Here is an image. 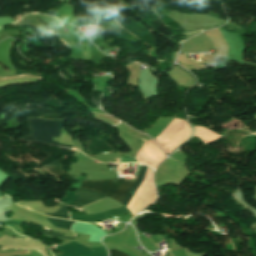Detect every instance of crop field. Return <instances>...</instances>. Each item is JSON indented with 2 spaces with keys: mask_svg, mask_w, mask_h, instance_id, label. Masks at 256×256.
I'll list each match as a JSON object with an SVG mask.
<instances>
[{
  "mask_svg": "<svg viewBox=\"0 0 256 256\" xmlns=\"http://www.w3.org/2000/svg\"><path fill=\"white\" fill-rule=\"evenodd\" d=\"M146 170H147V167L145 166L141 167L136 183L135 181H131V180L127 181L124 178L118 179V182H113L114 179L105 180V181H85L84 180L80 188L100 192L103 195L113 198L120 203L121 200L129 191V189L135 183L121 202V204L125 206L126 203L129 201V199L132 197V195L135 193V191L143 182Z\"/></svg>",
  "mask_w": 256,
  "mask_h": 256,
  "instance_id": "8a807250",
  "label": "crop field"
},
{
  "mask_svg": "<svg viewBox=\"0 0 256 256\" xmlns=\"http://www.w3.org/2000/svg\"><path fill=\"white\" fill-rule=\"evenodd\" d=\"M89 192H91V191L77 189L76 193L80 194L79 197L77 198L78 194L71 193V192L67 191V193H66L67 197L62 200V203L71 205L72 202L77 198L72 206H75L79 209V208H81V207H83V206H85L89 203H92V202H94L98 199L102 200V199L105 198V196H103L99 193H96V192H94L91 195H87ZM92 196L94 197L93 200H89L88 198L92 197ZM123 213H130V211L126 207L123 206V207L115 208V209H112L110 211L100 213V214H96V215L82 216V215L70 213V218L73 219V220H77V221L94 222V221H101V220L109 218V217H116V216L121 215Z\"/></svg>",
  "mask_w": 256,
  "mask_h": 256,
  "instance_id": "ac0d7876",
  "label": "crop field"
},
{
  "mask_svg": "<svg viewBox=\"0 0 256 256\" xmlns=\"http://www.w3.org/2000/svg\"><path fill=\"white\" fill-rule=\"evenodd\" d=\"M29 128L31 135L20 140L27 143L41 142L49 145L72 149L70 145L59 144L52 141L53 137H58L64 120H43L41 118H29Z\"/></svg>",
  "mask_w": 256,
  "mask_h": 256,
  "instance_id": "34b2d1b8",
  "label": "crop field"
},
{
  "mask_svg": "<svg viewBox=\"0 0 256 256\" xmlns=\"http://www.w3.org/2000/svg\"><path fill=\"white\" fill-rule=\"evenodd\" d=\"M169 18L180 25L187 33L195 32L200 29L206 30L222 24L221 19L213 18L208 15L194 16L182 15L176 12L168 14Z\"/></svg>",
  "mask_w": 256,
  "mask_h": 256,
  "instance_id": "412701ff",
  "label": "crop field"
},
{
  "mask_svg": "<svg viewBox=\"0 0 256 256\" xmlns=\"http://www.w3.org/2000/svg\"><path fill=\"white\" fill-rule=\"evenodd\" d=\"M57 249L64 252H62V256H106V251L103 248L93 249L94 252H91L92 249L75 242L59 246Z\"/></svg>",
  "mask_w": 256,
  "mask_h": 256,
  "instance_id": "f4fd0767",
  "label": "crop field"
},
{
  "mask_svg": "<svg viewBox=\"0 0 256 256\" xmlns=\"http://www.w3.org/2000/svg\"><path fill=\"white\" fill-rule=\"evenodd\" d=\"M47 220L56 227L64 228V229H69L71 225L74 223L73 221H67V220H62V219H54V218H48Z\"/></svg>",
  "mask_w": 256,
  "mask_h": 256,
  "instance_id": "dd49c442",
  "label": "crop field"
},
{
  "mask_svg": "<svg viewBox=\"0 0 256 256\" xmlns=\"http://www.w3.org/2000/svg\"><path fill=\"white\" fill-rule=\"evenodd\" d=\"M67 207L68 206L62 204V207H61V209L59 211L53 213L52 215L47 214V213L45 215H49V216H52V217L67 218V219H69V213H68Z\"/></svg>",
  "mask_w": 256,
  "mask_h": 256,
  "instance_id": "e52e79f7",
  "label": "crop field"
},
{
  "mask_svg": "<svg viewBox=\"0 0 256 256\" xmlns=\"http://www.w3.org/2000/svg\"><path fill=\"white\" fill-rule=\"evenodd\" d=\"M35 230V229H34ZM37 231V230H36ZM39 232V231H38ZM41 233H45L47 235H50V236H54V237H58V238H62V239H74V238H71V237H66V236H61L57 233H48L47 231H40Z\"/></svg>",
  "mask_w": 256,
  "mask_h": 256,
  "instance_id": "d8731c3e",
  "label": "crop field"
},
{
  "mask_svg": "<svg viewBox=\"0 0 256 256\" xmlns=\"http://www.w3.org/2000/svg\"><path fill=\"white\" fill-rule=\"evenodd\" d=\"M110 251V256H128L118 250H109Z\"/></svg>",
  "mask_w": 256,
  "mask_h": 256,
  "instance_id": "5a996713",
  "label": "crop field"
},
{
  "mask_svg": "<svg viewBox=\"0 0 256 256\" xmlns=\"http://www.w3.org/2000/svg\"><path fill=\"white\" fill-rule=\"evenodd\" d=\"M5 223L16 224V225H21V224H22V222H19V221H11V220L6 221Z\"/></svg>",
  "mask_w": 256,
  "mask_h": 256,
  "instance_id": "3316defc",
  "label": "crop field"
},
{
  "mask_svg": "<svg viewBox=\"0 0 256 256\" xmlns=\"http://www.w3.org/2000/svg\"><path fill=\"white\" fill-rule=\"evenodd\" d=\"M119 159H116L115 163H118Z\"/></svg>",
  "mask_w": 256,
  "mask_h": 256,
  "instance_id": "28ad6ade",
  "label": "crop field"
}]
</instances>
